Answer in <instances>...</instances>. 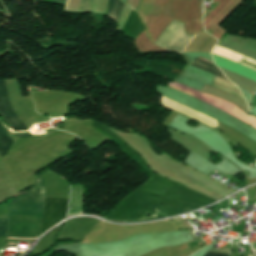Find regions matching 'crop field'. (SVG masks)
<instances>
[{
    "label": "crop field",
    "mask_w": 256,
    "mask_h": 256,
    "mask_svg": "<svg viewBox=\"0 0 256 256\" xmlns=\"http://www.w3.org/2000/svg\"><path fill=\"white\" fill-rule=\"evenodd\" d=\"M204 256H229V255L207 252Z\"/></svg>",
    "instance_id": "d1516ede"
},
{
    "label": "crop field",
    "mask_w": 256,
    "mask_h": 256,
    "mask_svg": "<svg viewBox=\"0 0 256 256\" xmlns=\"http://www.w3.org/2000/svg\"><path fill=\"white\" fill-rule=\"evenodd\" d=\"M8 219H0V236H5L7 231Z\"/></svg>",
    "instance_id": "28ad6ade"
},
{
    "label": "crop field",
    "mask_w": 256,
    "mask_h": 256,
    "mask_svg": "<svg viewBox=\"0 0 256 256\" xmlns=\"http://www.w3.org/2000/svg\"><path fill=\"white\" fill-rule=\"evenodd\" d=\"M10 212L9 238L35 239L44 209V185L38 176L34 188L8 204Z\"/></svg>",
    "instance_id": "8a807250"
},
{
    "label": "crop field",
    "mask_w": 256,
    "mask_h": 256,
    "mask_svg": "<svg viewBox=\"0 0 256 256\" xmlns=\"http://www.w3.org/2000/svg\"><path fill=\"white\" fill-rule=\"evenodd\" d=\"M250 256V255H249Z\"/></svg>",
    "instance_id": "22f410ed"
},
{
    "label": "crop field",
    "mask_w": 256,
    "mask_h": 256,
    "mask_svg": "<svg viewBox=\"0 0 256 256\" xmlns=\"http://www.w3.org/2000/svg\"><path fill=\"white\" fill-rule=\"evenodd\" d=\"M179 231H171V232H157V233H148V234H137L132 237H128L125 239L117 240V241H108V242H99L93 243L91 245H87L83 248L86 256H94L100 253H104L149 237L154 236H162L169 234H177Z\"/></svg>",
    "instance_id": "34b2d1b8"
},
{
    "label": "crop field",
    "mask_w": 256,
    "mask_h": 256,
    "mask_svg": "<svg viewBox=\"0 0 256 256\" xmlns=\"http://www.w3.org/2000/svg\"><path fill=\"white\" fill-rule=\"evenodd\" d=\"M124 4L119 0H110L107 15L109 18L117 21Z\"/></svg>",
    "instance_id": "d8731c3e"
},
{
    "label": "crop field",
    "mask_w": 256,
    "mask_h": 256,
    "mask_svg": "<svg viewBox=\"0 0 256 256\" xmlns=\"http://www.w3.org/2000/svg\"><path fill=\"white\" fill-rule=\"evenodd\" d=\"M13 141L0 126V156L4 155Z\"/></svg>",
    "instance_id": "5a996713"
},
{
    "label": "crop field",
    "mask_w": 256,
    "mask_h": 256,
    "mask_svg": "<svg viewBox=\"0 0 256 256\" xmlns=\"http://www.w3.org/2000/svg\"><path fill=\"white\" fill-rule=\"evenodd\" d=\"M192 66L197 67L199 69H202L204 71H207L209 73H212L214 75H217L225 80H227L224 75L221 73V71L214 65L207 63L205 61H202L198 58L193 62ZM228 81V80H227Z\"/></svg>",
    "instance_id": "e52e79f7"
},
{
    "label": "crop field",
    "mask_w": 256,
    "mask_h": 256,
    "mask_svg": "<svg viewBox=\"0 0 256 256\" xmlns=\"http://www.w3.org/2000/svg\"><path fill=\"white\" fill-rule=\"evenodd\" d=\"M53 1H56L65 5L66 0H53ZM68 2L69 0H67L66 2V10L68 7ZM91 8H92V0H80L78 11H91Z\"/></svg>",
    "instance_id": "3316defc"
},
{
    "label": "crop field",
    "mask_w": 256,
    "mask_h": 256,
    "mask_svg": "<svg viewBox=\"0 0 256 256\" xmlns=\"http://www.w3.org/2000/svg\"><path fill=\"white\" fill-rule=\"evenodd\" d=\"M193 36L185 34L183 23L173 20L154 43L167 49L181 52Z\"/></svg>",
    "instance_id": "ac0d7876"
},
{
    "label": "crop field",
    "mask_w": 256,
    "mask_h": 256,
    "mask_svg": "<svg viewBox=\"0 0 256 256\" xmlns=\"http://www.w3.org/2000/svg\"><path fill=\"white\" fill-rule=\"evenodd\" d=\"M82 213V185H71V201L68 216Z\"/></svg>",
    "instance_id": "dd49c442"
},
{
    "label": "crop field",
    "mask_w": 256,
    "mask_h": 256,
    "mask_svg": "<svg viewBox=\"0 0 256 256\" xmlns=\"http://www.w3.org/2000/svg\"><path fill=\"white\" fill-rule=\"evenodd\" d=\"M0 113L14 131L27 129L10 106L4 80H0Z\"/></svg>",
    "instance_id": "f4fd0767"
},
{
    "label": "crop field",
    "mask_w": 256,
    "mask_h": 256,
    "mask_svg": "<svg viewBox=\"0 0 256 256\" xmlns=\"http://www.w3.org/2000/svg\"><path fill=\"white\" fill-rule=\"evenodd\" d=\"M68 199H46L44 218L39 233H43L66 218Z\"/></svg>",
    "instance_id": "412701ff"
}]
</instances>
